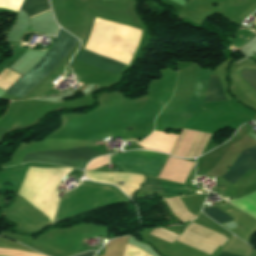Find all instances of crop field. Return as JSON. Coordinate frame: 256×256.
I'll return each instance as SVG.
<instances>
[{"label":"crop field","mask_w":256,"mask_h":256,"mask_svg":"<svg viewBox=\"0 0 256 256\" xmlns=\"http://www.w3.org/2000/svg\"><path fill=\"white\" fill-rule=\"evenodd\" d=\"M226 240L224 236L194 223H192L188 230L178 239V241L209 255L212 254L218 245L222 246Z\"/></svg>","instance_id":"obj_4"},{"label":"crop field","mask_w":256,"mask_h":256,"mask_svg":"<svg viewBox=\"0 0 256 256\" xmlns=\"http://www.w3.org/2000/svg\"><path fill=\"white\" fill-rule=\"evenodd\" d=\"M242 78L256 90V71L251 69L241 70Z\"/></svg>","instance_id":"obj_14"},{"label":"crop field","mask_w":256,"mask_h":256,"mask_svg":"<svg viewBox=\"0 0 256 256\" xmlns=\"http://www.w3.org/2000/svg\"><path fill=\"white\" fill-rule=\"evenodd\" d=\"M76 60L87 63L89 65L95 66L97 68L103 69L105 71L111 72L113 74H118L125 65L120 64L116 61L106 59L102 56L95 55L86 50H82Z\"/></svg>","instance_id":"obj_9"},{"label":"crop field","mask_w":256,"mask_h":256,"mask_svg":"<svg viewBox=\"0 0 256 256\" xmlns=\"http://www.w3.org/2000/svg\"><path fill=\"white\" fill-rule=\"evenodd\" d=\"M152 152L135 150L111 155L110 160L123 172L158 177L168 156Z\"/></svg>","instance_id":"obj_2"},{"label":"crop field","mask_w":256,"mask_h":256,"mask_svg":"<svg viewBox=\"0 0 256 256\" xmlns=\"http://www.w3.org/2000/svg\"><path fill=\"white\" fill-rule=\"evenodd\" d=\"M99 155L103 154L92 148L83 147L66 150L31 153L27 154L24 160L56 163L73 166L81 169L87 161Z\"/></svg>","instance_id":"obj_3"},{"label":"crop field","mask_w":256,"mask_h":256,"mask_svg":"<svg viewBox=\"0 0 256 256\" xmlns=\"http://www.w3.org/2000/svg\"><path fill=\"white\" fill-rule=\"evenodd\" d=\"M239 209V208H238ZM242 211V210H241ZM244 212V211H243ZM247 214V213H246ZM249 215V214H248ZM251 216V215H250ZM254 218V217H253ZM256 219V218H255Z\"/></svg>","instance_id":"obj_20"},{"label":"crop field","mask_w":256,"mask_h":256,"mask_svg":"<svg viewBox=\"0 0 256 256\" xmlns=\"http://www.w3.org/2000/svg\"><path fill=\"white\" fill-rule=\"evenodd\" d=\"M166 202L171 208L172 212L184 222L190 221L196 217L187 211L179 197L167 199Z\"/></svg>","instance_id":"obj_12"},{"label":"crop field","mask_w":256,"mask_h":256,"mask_svg":"<svg viewBox=\"0 0 256 256\" xmlns=\"http://www.w3.org/2000/svg\"><path fill=\"white\" fill-rule=\"evenodd\" d=\"M49 8H50V6H49L48 0H25L21 7V9L26 11L30 17L35 14H38L42 11H45ZM50 10L51 9H49L47 11H50ZM47 11H45V12H47ZM45 12H42V13H45ZM42 13H40V14H42Z\"/></svg>","instance_id":"obj_11"},{"label":"crop field","mask_w":256,"mask_h":256,"mask_svg":"<svg viewBox=\"0 0 256 256\" xmlns=\"http://www.w3.org/2000/svg\"><path fill=\"white\" fill-rule=\"evenodd\" d=\"M96 253L95 252H85L81 255H78V256H94Z\"/></svg>","instance_id":"obj_16"},{"label":"crop field","mask_w":256,"mask_h":256,"mask_svg":"<svg viewBox=\"0 0 256 256\" xmlns=\"http://www.w3.org/2000/svg\"><path fill=\"white\" fill-rule=\"evenodd\" d=\"M227 100L218 76H211L204 102Z\"/></svg>","instance_id":"obj_10"},{"label":"crop field","mask_w":256,"mask_h":256,"mask_svg":"<svg viewBox=\"0 0 256 256\" xmlns=\"http://www.w3.org/2000/svg\"><path fill=\"white\" fill-rule=\"evenodd\" d=\"M203 212L219 224L232 220L217 208L203 209Z\"/></svg>","instance_id":"obj_13"},{"label":"crop field","mask_w":256,"mask_h":256,"mask_svg":"<svg viewBox=\"0 0 256 256\" xmlns=\"http://www.w3.org/2000/svg\"><path fill=\"white\" fill-rule=\"evenodd\" d=\"M5 67H6V66H5ZM5 67H4V68H5ZM4 68H3V69H4ZM7 68H8V67H7ZM3 69L0 71V73L3 71ZM9 69H10V68H9ZM11 70H12V69H11ZM13 71H14V70H13ZM15 72H16V71H15ZM16 73H17V72H16ZM18 74H19V73H18ZM19 75H20V74H19ZM22 77H23V76H22ZM19 79H20V78H19ZM19 79H18V80H19ZM18 80H17V81H18ZM17 81H16V82H17ZM16 82H15V83H16ZM12 85H13V84H12ZM12 85H11V86H12ZM11 86H10V87H11ZM10 87H9V88H10Z\"/></svg>","instance_id":"obj_18"},{"label":"crop field","mask_w":256,"mask_h":256,"mask_svg":"<svg viewBox=\"0 0 256 256\" xmlns=\"http://www.w3.org/2000/svg\"><path fill=\"white\" fill-rule=\"evenodd\" d=\"M151 235L156 236L158 238H161V239H163L165 241H168L170 243H172L174 241V239L177 237V235H175V234H173V233H171V232H169L165 229H162V228L154 230L151 233Z\"/></svg>","instance_id":"obj_15"},{"label":"crop field","mask_w":256,"mask_h":256,"mask_svg":"<svg viewBox=\"0 0 256 256\" xmlns=\"http://www.w3.org/2000/svg\"><path fill=\"white\" fill-rule=\"evenodd\" d=\"M209 136L200 132L183 130L172 155L188 158L200 156Z\"/></svg>","instance_id":"obj_5"},{"label":"crop field","mask_w":256,"mask_h":256,"mask_svg":"<svg viewBox=\"0 0 256 256\" xmlns=\"http://www.w3.org/2000/svg\"><path fill=\"white\" fill-rule=\"evenodd\" d=\"M253 16H255V17H256V13H255V14H253Z\"/></svg>","instance_id":"obj_19"},{"label":"crop field","mask_w":256,"mask_h":256,"mask_svg":"<svg viewBox=\"0 0 256 256\" xmlns=\"http://www.w3.org/2000/svg\"><path fill=\"white\" fill-rule=\"evenodd\" d=\"M249 169H256V147L243 151L222 178L234 184Z\"/></svg>","instance_id":"obj_6"},{"label":"crop field","mask_w":256,"mask_h":256,"mask_svg":"<svg viewBox=\"0 0 256 256\" xmlns=\"http://www.w3.org/2000/svg\"><path fill=\"white\" fill-rule=\"evenodd\" d=\"M218 256H235V255H231V254L221 252Z\"/></svg>","instance_id":"obj_17"},{"label":"crop field","mask_w":256,"mask_h":256,"mask_svg":"<svg viewBox=\"0 0 256 256\" xmlns=\"http://www.w3.org/2000/svg\"><path fill=\"white\" fill-rule=\"evenodd\" d=\"M211 70H203L201 68L199 69L192 100L179 114L178 117L190 118L192 114L196 111V109L203 103Z\"/></svg>","instance_id":"obj_7"},{"label":"crop field","mask_w":256,"mask_h":256,"mask_svg":"<svg viewBox=\"0 0 256 256\" xmlns=\"http://www.w3.org/2000/svg\"><path fill=\"white\" fill-rule=\"evenodd\" d=\"M193 163L169 157L159 178L184 183Z\"/></svg>","instance_id":"obj_8"},{"label":"crop field","mask_w":256,"mask_h":256,"mask_svg":"<svg viewBox=\"0 0 256 256\" xmlns=\"http://www.w3.org/2000/svg\"><path fill=\"white\" fill-rule=\"evenodd\" d=\"M75 39L61 29L50 51L7 93L24 98L56 66Z\"/></svg>","instance_id":"obj_1"}]
</instances>
